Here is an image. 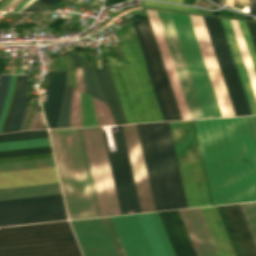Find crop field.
Instances as JSON below:
<instances>
[{
  "label": "crop field",
  "mask_w": 256,
  "mask_h": 256,
  "mask_svg": "<svg viewBox=\"0 0 256 256\" xmlns=\"http://www.w3.org/2000/svg\"><path fill=\"white\" fill-rule=\"evenodd\" d=\"M170 16L196 90L203 117H229L235 115L238 116L251 114L220 20L216 18L202 17L235 115L228 94L226 92L202 18L189 15L222 116L214 92L212 90L188 16L184 14L173 13H170Z\"/></svg>",
  "instance_id": "1"
},
{
  "label": "crop field",
  "mask_w": 256,
  "mask_h": 256,
  "mask_svg": "<svg viewBox=\"0 0 256 256\" xmlns=\"http://www.w3.org/2000/svg\"><path fill=\"white\" fill-rule=\"evenodd\" d=\"M194 123L213 203L256 201V116Z\"/></svg>",
  "instance_id": "2"
},
{
  "label": "crop field",
  "mask_w": 256,
  "mask_h": 256,
  "mask_svg": "<svg viewBox=\"0 0 256 256\" xmlns=\"http://www.w3.org/2000/svg\"><path fill=\"white\" fill-rule=\"evenodd\" d=\"M115 34L127 62L105 53L127 122L163 121L133 24Z\"/></svg>",
  "instance_id": "3"
},
{
  "label": "crop field",
  "mask_w": 256,
  "mask_h": 256,
  "mask_svg": "<svg viewBox=\"0 0 256 256\" xmlns=\"http://www.w3.org/2000/svg\"><path fill=\"white\" fill-rule=\"evenodd\" d=\"M0 256H81L67 221L0 228Z\"/></svg>",
  "instance_id": "4"
},
{
  "label": "crop field",
  "mask_w": 256,
  "mask_h": 256,
  "mask_svg": "<svg viewBox=\"0 0 256 256\" xmlns=\"http://www.w3.org/2000/svg\"><path fill=\"white\" fill-rule=\"evenodd\" d=\"M50 133L70 219L96 217L76 129Z\"/></svg>",
  "instance_id": "5"
},
{
  "label": "crop field",
  "mask_w": 256,
  "mask_h": 256,
  "mask_svg": "<svg viewBox=\"0 0 256 256\" xmlns=\"http://www.w3.org/2000/svg\"><path fill=\"white\" fill-rule=\"evenodd\" d=\"M146 11H147V14H148V17H149V20L158 44L164 65L166 67L182 118L183 119L203 118L168 12L156 11L173 63H174V67H175V70H176V73H177V76H178V79L187 103L191 118H190L179 82L173 67V63H172V60H171L162 30L160 27L156 12L153 10H146Z\"/></svg>",
  "instance_id": "6"
},
{
  "label": "crop field",
  "mask_w": 256,
  "mask_h": 256,
  "mask_svg": "<svg viewBox=\"0 0 256 256\" xmlns=\"http://www.w3.org/2000/svg\"><path fill=\"white\" fill-rule=\"evenodd\" d=\"M169 124L188 207L212 205L193 121Z\"/></svg>",
  "instance_id": "7"
},
{
  "label": "crop field",
  "mask_w": 256,
  "mask_h": 256,
  "mask_svg": "<svg viewBox=\"0 0 256 256\" xmlns=\"http://www.w3.org/2000/svg\"><path fill=\"white\" fill-rule=\"evenodd\" d=\"M111 218L127 256H174L157 212Z\"/></svg>",
  "instance_id": "8"
},
{
  "label": "crop field",
  "mask_w": 256,
  "mask_h": 256,
  "mask_svg": "<svg viewBox=\"0 0 256 256\" xmlns=\"http://www.w3.org/2000/svg\"><path fill=\"white\" fill-rule=\"evenodd\" d=\"M145 126L165 210L187 207L168 122Z\"/></svg>",
  "instance_id": "9"
},
{
  "label": "crop field",
  "mask_w": 256,
  "mask_h": 256,
  "mask_svg": "<svg viewBox=\"0 0 256 256\" xmlns=\"http://www.w3.org/2000/svg\"><path fill=\"white\" fill-rule=\"evenodd\" d=\"M197 256H217L198 208L179 210ZM178 210L158 212L176 256H196Z\"/></svg>",
  "instance_id": "10"
},
{
  "label": "crop field",
  "mask_w": 256,
  "mask_h": 256,
  "mask_svg": "<svg viewBox=\"0 0 256 256\" xmlns=\"http://www.w3.org/2000/svg\"><path fill=\"white\" fill-rule=\"evenodd\" d=\"M102 216L120 214L100 127L83 128Z\"/></svg>",
  "instance_id": "11"
},
{
  "label": "crop field",
  "mask_w": 256,
  "mask_h": 256,
  "mask_svg": "<svg viewBox=\"0 0 256 256\" xmlns=\"http://www.w3.org/2000/svg\"><path fill=\"white\" fill-rule=\"evenodd\" d=\"M113 137L117 151L109 152L103 133L121 214L141 212L121 125ZM102 129V128H101Z\"/></svg>",
  "instance_id": "12"
},
{
  "label": "crop field",
  "mask_w": 256,
  "mask_h": 256,
  "mask_svg": "<svg viewBox=\"0 0 256 256\" xmlns=\"http://www.w3.org/2000/svg\"><path fill=\"white\" fill-rule=\"evenodd\" d=\"M62 219H67L62 199L0 206V226Z\"/></svg>",
  "instance_id": "13"
},
{
  "label": "crop field",
  "mask_w": 256,
  "mask_h": 256,
  "mask_svg": "<svg viewBox=\"0 0 256 256\" xmlns=\"http://www.w3.org/2000/svg\"><path fill=\"white\" fill-rule=\"evenodd\" d=\"M70 223L84 256H118L103 218Z\"/></svg>",
  "instance_id": "14"
},
{
  "label": "crop field",
  "mask_w": 256,
  "mask_h": 256,
  "mask_svg": "<svg viewBox=\"0 0 256 256\" xmlns=\"http://www.w3.org/2000/svg\"><path fill=\"white\" fill-rule=\"evenodd\" d=\"M170 120L182 119L148 19L136 20Z\"/></svg>",
  "instance_id": "15"
},
{
  "label": "crop field",
  "mask_w": 256,
  "mask_h": 256,
  "mask_svg": "<svg viewBox=\"0 0 256 256\" xmlns=\"http://www.w3.org/2000/svg\"><path fill=\"white\" fill-rule=\"evenodd\" d=\"M256 245V202L239 204ZM238 204L225 205L245 256H256V247Z\"/></svg>",
  "instance_id": "16"
},
{
  "label": "crop field",
  "mask_w": 256,
  "mask_h": 256,
  "mask_svg": "<svg viewBox=\"0 0 256 256\" xmlns=\"http://www.w3.org/2000/svg\"><path fill=\"white\" fill-rule=\"evenodd\" d=\"M59 182L55 167L0 173V188Z\"/></svg>",
  "instance_id": "17"
},
{
  "label": "crop field",
  "mask_w": 256,
  "mask_h": 256,
  "mask_svg": "<svg viewBox=\"0 0 256 256\" xmlns=\"http://www.w3.org/2000/svg\"><path fill=\"white\" fill-rule=\"evenodd\" d=\"M218 256H235L215 206L199 208Z\"/></svg>",
  "instance_id": "18"
},
{
  "label": "crop field",
  "mask_w": 256,
  "mask_h": 256,
  "mask_svg": "<svg viewBox=\"0 0 256 256\" xmlns=\"http://www.w3.org/2000/svg\"><path fill=\"white\" fill-rule=\"evenodd\" d=\"M100 90L107 102L110 112L116 124L127 123L109 68H102L94 70Z\"/></svg>",
  "instance_id": "19"
},
{
  "label": "crop field",
  "mask_w": 256,
  "mask_h": 256,
  "mask_svg": "<svg viewBox=\"0 0 256 256\" xmlns=\"http://www.w3.org/2000/svg\"><path fill=\"white\" fill-rule=\"evenodd\" d=\"M220 20H221V23H222V26H223V29H224V32H225V35H226L233 59H234L235 65H236V68H237V71H238L248 104H249V107L251 110V113L256 114V101H255V98H254V95L252 92V88H251V85H250V82H249V79H248V76H247L241 55H240V52H239V49L237 46V42H236L233 30H232L230 21L224 20V19H220Z\"/></svg>",
  "instance_id": "20"
},
{
  "label": "crop field",
  "mask_w": 256,
  "mask_h": 256,
  "mask_svg": "<svg viewBox=\"0 0 256 256\" xmlns=\"http://www.w3.org/2000/svg\"><path fill=\"white\" fill-rule=\"evenodd\" d=\"M155 211L164 210L144 124L136 125Z\"/></svg>",
  "instance_id": "21"
},
{
  "label": "crop field",
  "mask_w": 256,
  "mask_h": 256,
  "mask_svg": "<svg viewBox=\"0 0 256 256\" xmlns=\"http://www.w3.org/2000/svg\"><path fill=\"white\" fill-rule=\"evenodd\" d=\"M61 194L59 183L0 189V200Z\"/></svg>",
  "instance_id": "22"
},
{
  "label": "crop field",
  "mask_w": 256,
  "mask_h": 256,
  "mask_svg": "<svg viewBox=\"0 0 256 256\" xmlns=\"http://www.w3.org/2000/svg\"><path fill=\"white\" fill-rule=\"evenodd\" d=\"M77 89L73 88L72 111L70 127L82 126L80 91L85 93L81 67L75 68Z\"/></svg>",
  "instance_id": "23"
},
{
  "label": "crop field",
  "mask_w": 256,
  "mask_h": 256,
  "mask_svg": "<svg viewBox=\"0 0 256 256\" xmlns=\"http://www.w3.org/2000/svg\"><path fill=\"white\" fill-rule=\"evenodd\" d=\"M230 21H231V24H232V27H233V30H234V33H235L242 57H243V60H244L245 66H246V69H247L255 96H256V74H255L245 41H244V37H243L242 31H241L239 22L234 21V20H230Z\"/></svg>",
  "instance_id": "24"
},
{
  "label": "crop field",
  "mask_w": 256,
  "mask_h": 256,
  "mask_svg": "<svg viewBox=\"0 0 256 256\" xmlns=\"http://www.w3.org/2000/svg\"><path fill=\"white\" fill-rule=\"evenodd\" d=\"M59 82H60V72L50 76L47 99L43 109L49 127H50L51 119H52L54 108H55L56 97L59 89Z\"/></svg>",
  "instance_id": "25"
},
{
  "label": "crop field",
  "mask_w": 256,
  "mask_h": 256,
  "mask_svg": "<svg viewBox=\"0 0 256 256\" xmlns=\"http://www.w3.org/2000/svg\"><path fill=\"white\" fill-rule=\"evenodd\" d=\"M51 166H55L53 158L12 162V163H2V164H0V172L41 168V167H51Z\"/></svg>",
  "instance_id": "26"
},
{
  "label": "crop field",
  "mask_w": 256,
  "mask_h": 256,
  "mask_svg": "<svg viewBox=\"0 0 256 256\" xmlns=\"http://www.w3.org/2000/svg\"><path fill=\"white\" fill-rule=\"evenodd\" d=\"M236 256H244L224 205L216 206Z\"/></svg>",
  "instance_id": "27"
},
{
  "label": "crop field",
  "mask_w": 256,
  "mask_h": 256,
  "mask_svg": "<svg viewBox=\"0 0 256 256\" xmlns=\"http://www.w3.org/2000/svg\"><path fill=\"white\" fill-rule=\"evenodd\" d=\"M27 76H23L22 86L20 90L19 99L15 108V112L9 127V131H16L19 129L21 121L23 119L25 107L29 98L23 97Z\"/></svg>",
  "instance_id": "28"
},
{
  "label": "crop field",
  "mask_w": 256,
  "mask_h": 256,
  "mask_svg": "<svg viewBox=\"0 0 256 256\" xmlns=\"http://www.w3.org/2000/svg\"><path fill=\"white\" fill-rule=\"evenodd\" d=\"M72 88L66 85L56 128L69 127Z\"/></svg>",
  "instance_id": "29"
},
{
  "label": "crop field",
  "mask_w": 256,
  "mask_h": 256,
  "mask_svg": "<svg viewBox=\"0 0 256 256\" xmlns=\"http://www.w3.org/2000/svg\"><path fill=\"white\" fill-rule=\"evenodd\" d=\"M82 70H83L86 93L104 101L103 96L99 90L92 65L90 64L88 66H83Z\"/></svg>",
  "instance_id": "30"
},
{
  "label": "crop field",
  "mask_w": 256,
  "mask_h": 256,
  "mask_svg": "<svg viewBox=\"0 0 256 256\" xmlns=\"http://www.w3.org/2000/svg\"><path fill=\"white\" fill-rule=\"evenodd\" d=\"M133 23H134V26H135V29H136V32H137V35H138V38H139V41H140V45H141V48H142V51H143V54H144V57H145V60H146V63H147L146 67H147V70H148V73H149V76H150V79H151V83H152V86H153V89H154V92H155V95H156L159 107H160V111H161L163 120L167 121L169 119H168V116H167V113H166V110H165L162 98L160 96V93H159V90H158V87H157V84H156V81H155V78H154V75H153V72H152L149 60H148V57H147V54H146V51H145V48L143 46V43H142L139 31H138L136 22L133 21Z\"/></svg>",
  "instance_id": "31"
},
{
  "label": "crop field",
  "mask_w": 256,
  "mask_h": 256,
  "mask_svg": "<svg viewBox=\"0 0 256 256\" xmlns=\"http://www.w3.org/2000/svg\"><path fill=\"white\" fill-rule=\"evenodd\" d=\"M81 101L83 126L97 125L91 97L81 92Z\"/></svg>",
  "instance_id": "32"
},
{
  "label": "crop field",
  "mask_w": 256,
  "mask_h": 256,
  "mask_svg": "<svg viewBox=\"0 0 256 256\" xmlns=\"http://www.w3.org/2000/svg\"><path fill=\"white\" fill-rule=\"evenodd\" d=\"M45 145H49L47 138L11 141V142H0V150L35 147V146H45Z\"/></svg>",
  "instance_id": "33"
},
{
  "label": "crop field",
  "mask_w": 256,
  "mask_h": 256,
  "mask_svg": "<svg viewBox=\"0 0 256 256\" xmlns=\"http://www.w3.org/2000/svg\"><path fill=\"white\" fill-rule=\"evenodd\" d=\"M92 99L98 125L115 124L107 108V105L93 97Z\"/></svg>",
  "instance_id": "34"
},
{
  "label": "crop field",
  "mask_w": 256,
  "mask_h": 256,
  "mask_svg": "<svg viewBox=\"0 0 256 256\" xmlns=\"http://www.w3.org/2000/svg\"><path fill=\"white\" fill-rule=\"evenodd\" d=\"M42 137H48L47 131L36 130V131H24V132L3 134V135H0V141L42 138Z\"/></svg>",
  "instance_id": "35"
},
{
  "label": "crop field",
  "mask_w": 256,
  "mask_h": 256,
  "mask_svg": "<svg viewBox=\"0 0 256 256\" xmlns=\"http://www.w3.org/2000/svg\"><path fill=\"white\" fill-rule=\"evenodd\" d=\"M21 80H22V76L17 75L12 101H11L10 107L7 111L5 122H4L3 129H2L1 133L8 131V127H9V124H10V121H11V118L13 115V111H14V108H15V105H16V102L18 99L19 90H20V86H21Z\"/></svg>",
  "instance_id": "36"
},
{
  "label": "crop field",
  "mask_w": 256,
  "mask_h": 256,
  "mask_svg": "<svg viewBox=\"0 0 256 256\" xmlns=\"http://www.w3.org/2000/svg\"><path fill=\"white\" fill-rule=\"evenodd\" d=\"M97 217L101 216L80 129H77Z\"/></svg>",
  "instance_id": "37"
},
{
  "label": "crop field",
  "mask_w": 256,
  "mask_h": 256,
  "mask_svg": "<svg viewBox=\"0 0 256 256\" xmlns=\"http://www.w3.org/2000/svg\"><path fill=\"white\" fill-rule=\"evenodd\" d=\"M48 152H52L50 146L0 151V157L29 155V154H38V153H48Z\"/></svg>",
  "instance_id": "38"
},
{
  "label": "crop field",
  "mask_w": 256,
  "mask_h": 256,
  "mask_svg": "<svg viewBox=\"0 0 256 256\" xmlns=\"http://www.w3.org/2000/svg\"><path fill=\"white\" fill-rule=\"evenodd\" d=\"M140 2L142 6H156V7H164V8L185 10V11H198V8H194V7H187V6H180V5H173V4L152 2V1H140Z\"/></svg>",
  "instance_id": "39"
},
{
  "label": "crop field",
  "mask_w": 256,
  "mask_h": 256,
  "mask_svg": "<svg viewBox=\"0 0 256 256\" xmlns=\"http://www.w3.org/2000/svg\"><path fill=\"white\" fill-rule=\"evenodd\" d=\"M65 77H66V71L62 72L60 90H59L56 108H55V112H54V116H53V120H52L50 128H55V126H56L57 117H58V113H59V109H60L64 86H65Z\"/></svg>",
  "instance_id": "40"
},
{
  "label": "crop field",
  "mask_w": 256,
  "mask_h": 256,
  "mask_svg": "<svg viewBox=\"0 0 256 256\" xmlns=\"http://www.w3.org/2000/svg\"><path fill=\"white\" fill-rule=\"evenodd\" d=\"M104 219H105L106 224H107V226H108V229H109V231H110V233H111V236H112V238H113V241H114V243H115V246H116V248H117V251H118V253H119V256H125V253H124V251H123V248H122V246H121V243H120V241H119L118 235H117V233H116V230H115V228H114V225H113V223H112L111 218H110V217H107V218H104Z\"/></svg>",
  "instance_id": "41"
},
{
  "label": "crop field",
  "mask_w": 256,
  "mask_h": 256,
  "mask_svg": "<svg viewBox=\"0 0 256 256\" xmlns=\"http://www.w3.org/2000/svg\"><path fill=\"white\" fill-rule=\"evenodd\" d=\"M239 22H240V25H241V28H242V31H243V34H244L251 58H252V61H253L254 67H255V70H256V53H255L248 29H247L246 23L242 22V21H239Z\"/></svg>",
  "instance_id": "42"
},
{
  "label": "crop field",
  "mask_w": 256,
  "mask_h": 256,
  "mask_svg": "<svg viewBox=\"0 0 256 256\" xmlns=\"http://www.w3.org/2000/svg\"><path fill=\"white\" fill-rule=\"evenodd\" d=\"M15 76L16 75H11V77H10L8 93H7L4 108H3V111H2V114H1V117H0V131H1V127H2V124H3V121H4L6 111L8 109L9 103H10L11 95H12V92H13V89H14Z\"/></svg>",
  "instance_id": "43"
},
{
  "label": "crop field",
  "mask_w": 256,
  "mask_h": 256,
  "mask_svg": "<svg viewBox=\"0 0 256 256\" xmlns=\"http://www.w3.org/2000/svg\"><path fill=\"white\" fill-rule=\"evenodd\" d=\"M9 77L10 75H1L0 76V113L3 108L7 88H8V83H9Z\"/></svg>",
  "instance_id": "44"
},
{
  "label": "crop field",
  "mask_w": 256,
  "mask_h": 256,
  "mask_svg": "<svg viewBox=\"0 0 256 256\" xmlns=\"http://www.w3.org/2000/svg\"><path fill=\"white\" fill-rule=\"evenodd\" d=\"M49 157H53L52 153L29 155V156H19V157H10V158H0V163H2V162H12V161H21V160H30V159L49 158Z\"/></svg>",
  "instance_id": "45"
},
{
  "label": "crop field",
  "mask_w": 256,
  "mask_h": 256,
  "mask_svg": "<svg viewBox=\"0 0 256 256\" xmlns=\"http://www.w3.org/2000/svg\"><path fill=\"white\" fill-rule=\"evenodd\" d=\"M58 198H62V196L61 195H56V196L26 198V199L5 200V201H0V205H2V204H11V203H20V202L39 201V200H48V199H58Z\"/></svg>",
  "instance_id": "46"
},
{
  "label": "crop field",
  "mask_w": 256,
  "mask_h": 256,
  "mask_svg": "<svg viewBox=\"0 0 256 256\" xmlns=\"http://www.w3.org/2000/svg\"><path fill=\"white\" fill-rule=\"evenodd\" d=\"M53 1L54 0H36L34 3L28 6L23 12L40 11Z\"/></svg>",
  "instance_id": "47"
},
{
  "label": "crop field",
  "mask_w": 256,
  "mask_h": 256,
  "mask_svg": "<svg viewBox=\"0 0 256 256\" xmlns=\"http://www.w3.org/2000/svg\"><path fill=\"white\" fill-rule=\"evenodd\" d=\"M44 124L43 116H34L29 129H42Z\"/></svg>",
  "instance_id": "48"
},
{
  "label": "crop field",
  "mask_w": 256,
  "mask_h": 256,
  "mask_svg": "<svg viewBox=\"0 0 256 256\" xmlns=\"http://www.w3.org/2000/svg\"><path fill=\"white\" fill-rule=\"evenodd\" d=\"M246 23H247V26L256 50V23H253V22H246Z\"/></svg>",
  "instance_id": "49"
},
{
  "label": "crop field",
  "mask_w": 256,
  "mask_h": 256,
  "mask_svg": "<svg viewBox=\"0 0 256 256\" xmlns=\"http://www.w3.org/2000/svg\"><path fill=\"white\" fill-rule=\"evenodd\" d=\"M31 108H32L31 106H28V107H27V110H26V113H25V116H24V119H23V122H22V124H21V127H20V130H19V131H22V130L25 129L26 122H27V120H28V118H29V116H30Z\"/></svg>",
  "instance_id": "50"
},
{
  "label": "crop field",
  "mask_w": 256,
  "mask_h": 256,
  "mask_svg": "<svg viewBox=\"0 0 256 256\" xmlns=\"http://www.w3.org/2000/svg\"><path fill=\"white\" fill-rule=\"evenodd\" d=\"M244 4H249V0H234V6L235 7H239V8L244 9Z\"/></svg>",
  "instance_id": "51"
},
{
  "label": "crop field",
  "mask_w": 256,
  "mask_h": 256,
  "mask_svg": "<svg viewBox=\"0 0 256 256\" xmlns=\"http://www.w3.org/2000/svg\"><path fill=\"white\" fill-rule=\"evenodd\" d=\"M71 56H72L73 63H74L75 67L82 66L81 61H80L79 56H78L77 53L76 54H72Z\"/></svg>",
  "instance_id": "52"
},
{
  "label": "crop field",
  "mask_w": 256,
  "mask_h": 256,
  "mask_svg": "<svg viewBox=\"0 0 256 256\" xmlns=\"http://www.w3.org/2000/svg\"><path fill=\"white\" fill-rule=\"evenodd\" d=\"M256 0H250V13L255 15Z\"/></svg>",
  "instance_id": "53"
},
{
  "label": "crop field",
  "mask_w": 256,
  "mask_h": 256,
  "mask_svg": "<svg viewBox=\"0 0 256 256\" xmlns=\"http://www.w3.org/2000/svg\"><path fill=\"white\" fill-rule=\"evenodd\" d=\"M123 0H107L106 5H110V4H114V3H118V2H122Z\"/></svg>",
  "instance_id": "54"
},
{
  "label": "crop field",
  "mask_w": 256,
  "mask_h": 256,
  "mask_svg": "<svg viewBox=\"0 0 256 256\" xmlns=\"http://www.w3.org/2000/svg\"><path fill=\"white\" fill-rule=\"evenodd\" d=\"M61 0H57L56 2H54V3H52V4H50V5H48L47 7H45L43 10H41V11H47L50 7H52L54 4H56V3H58V2H60Z\"/></svg>",
  "instance_id": "55"
},
{
  "label": "crop field",
  "mask_w": 256,
  "mask_h": 256,
  "mask_svg": "<svg viewBox=\"0 0 256 256\" xmlns=\"http://www.w3.org/2000/svg\"><path fill=\"white\" fill-rule=\"evenodd\" d=\"M33 1H35V0H30L29 2H27L18 12H22L29 4H31Z\"/></svg>",
  "instance_id": "56"
},
{
  "label": "crop field",
  "mask_w": 256,
  "mask_h": 256,
  "mask_svg": "<svg viewBox=\"0 0 256 256\" xmlns=\"http://www.w3.org/2000/svg\"><path fill=\"white\" fill-rule=\"evenodd\" d=\"M9 2H10V0H5V1L0 5V10H2Z\"/></svg>",
  "instance_id": "57"
},
{
  "label": "crop field",
  "mask_w": 256,
  "mask_h": 256,
  "mask_svg": "<svg viewBox=\"0 0 256 256\" xmlns=\"http://www.w3.org/2000/svg\"><path fill=\"white\" fill-rule=\"evenodd\" d=\"M17 0H12L3 10L4 11H7L8 10V8L13 4V3H15Z\"/></svg>",
  "instance_id": "58"
},
{
  "label": "crop field",
  "mask_w": 256,
  "mask_h": 256,
  "mask_svg": "<svg viewBox=\"0 0 256 256\" xmlns=\"http://www.w3.org/2000/svg\"><path fill=\"white\" fill-rule=\"evenodd\" d=\"M35 108H36V107H33V109H32V113H31V116H30V118H29V121H28V124H27V126H26V129L28 128V125H29L30 120H31V118H32V116H33V113H34ZM26 129H25V130H26Z\"/></svg>",
  "instance_id": "59"
},
{
  "label": "crop field",
  "mask_w": 256,
  "mask_h": 256,
  "mask_svg": "<svg viewBox=\"0 0 256 256\" xmlns=\"http://www.w3.org/2000/svg\"><path fill=\"white\" fill-rule=\"evenodd\" d=\"M28 0H24L16 9H14L13 11L17 12L19 10V8Z\"/></svg>",
  "instance_id": "60"
},
{
  "label": "crop field",
  "mask_w": 256,
  "mask_h": 256,
  "mask_svg": "<svg viewBox=\"0 0 256 256\" xmlns=\"http://www.w3.org/2000/svg\"><path fill=\"white\" fill-rule=\"evenodd\" d=\"M163 1H171V2H179V3L183 2V0H163Z\"/></svg>",
  "instance_id": "61"
},
{
  "label": "crop field",
  "mask_w": 256,
  "mask_h": 256,
  "mask_svg": "<svg viewBox=\"0 0 256 256\" xmlns=\"http://www.w3.org/2000/svg\"><path fill=\"white\" fill-rule=\"evenodd\" d=\"M226 3L233 6V0H226Z\"/></svg>",
  "instance_id": "62"
},
{
  "label": "crop field",
  "mask_w": 256,
  "mask_h": 256,
  "mask_svg": "<svg viewBox=\"0 0 256 256\" xmlns=\"http://www.w3.org/2000/svg\"><path fill=\"white\" fill-rule=\"evenodd\" d=\"M10 73H12V74L15 73V66H11V72Z\"/></svg>",
  "instance_id": "63"
},
{
  "label": "crop field",
  "mask_w": 256,
  "mask_h": 256,
  "mask_svg": "<svg viewBox=\"0 0 256 256\" xmlns=\"http://www.w3.org/2000/svg\"><path fill=\"white\" fill-rule=\"evenodd\" d=\"M21 67H17V73H20Z\"/></svg>",
  "instance_id": "64"
},
{
  "label": "crop field",
  "mask_w": 256,
  "mask_h": 256,
  "mask_svg": "<svg viewBox=\"0 0 256 256\" xmlns=\"http://www.w3.org/2000/svg\"><path fill=\"white\" fill-rule=\"evenodd\" d=\"M214 1H216V2H218V3H219V0H214Z\"/></svg>",
  "instance_id": "65"
},
{
  "label": "crop field",
  "mask_w": 256,
  "mask_h": 256,
  "mask_svg": "<svg viewBox=\"0 0 256 256\" xmlns=\"http://www.w3.org/2000/svg\"><path fill=\"white\" fill-rule=\"evenodd\" d=\"M126 1V0H125Z\"/></svg>",
  "instance_id": "66"
}]
</instances>
